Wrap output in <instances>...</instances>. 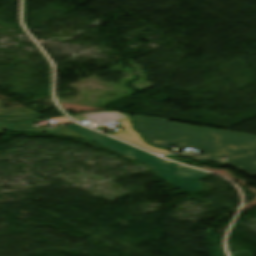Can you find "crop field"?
<instances>
[{
  "label": "crop field",
  "mask_w": 256,
  "mask_h": 256,
  "mask_svg": "<svg viewBox=\"0 0 256 256\" xmlns=\"http://www.w3.org/2000/svg\"><path fill=\"white\" fill-rule=\"evenodd\" d=\"M66 127L89 138L93 142H97L136 161L150 165L158 172L161 179L186 192L200 190L201 187L199 180L208 176V173L159 159L160 157L157 158L137 148L101 135L78 124L66 125Z\"/></svg>",
  "instance_id": "crop-field-2"
},
{
  "label": "crop field",
  "mask_w": 256,
  "mask_h": 256,
  "mask_svg": "<svg viewBox=\"0 0 256 256\" xmlns=\"http://www.w3.org/2000/svg\"><path fill=\"white\" fill-rule=\"evenodd\" d=\"M5 121H0V128L4 127Z\"/></svg>",
  "instance_id": "crop-field-8"
},
{
  "label": "crop field",
  "mask_w": 256,
  "mask_h": 256,
  "mask_svg": "<svg viewBox=\"0 0 256 256\" xmlns=\"http://www.w3.org/2000/svg\"><path fill=\"white\" fill-rule=\"evenodd\" d=\"M81 115L84 117H87L99 124L118 120L123 125L124 130H122L112 136L122 139L124 141H127L129 143H132L136 146H139L141 148H144V149L154 152L156 154H169L170 153L166 150L147 145L142 140L141 136L132 129V124L130 122L131 119L127 115H124L119 112L86 113V114H81Z\"/></svg>",
  "instance_id": "crop-field-3"
},
{
  "label": "crop field",
  "mask_w": 256,
  "mask_h": 256,
  "mask_svg": "<svg viewBox=\"0 0 256 256\" xmlns=\"http://www.w3.org/2000/svg\"><path fill=\"white\" fill-rule=\"evenodd\" d=\"M38 118L43 117L29 108H1L0 106V119L6 121Z\"/></svg>",
  "instance_id": "crop-field-5"
},
{
  "label": "crop field",
  "mask_w": 256,
  "mask_h": 256,
  "mask_svg": "<svg viewBox=\"0 0 256 256\" xmlns=\"http://www.w3.org/2000/svg\"><path fill=\"white\" fill-rule=\"evenodd\" d=\"M37 121L39 120L10 122V123H6L5 127L11 130L30 131V132H39V133L45 132L49 134L72 136V137L88 140L87 138L77 134L76 132L64 126L59 127L55 130H50L48 128H35L33 126V123Z\"/></svg>",
  "instance_id": "crop-field-4"
},
{
  "label": "crop field",
  "mask_w": 256,
  "mask_h": 256,
  "mask_svg": "<svg viewBox=\"0 0 256 256\" xmlns=\"http://www.w3.org/2000/svg\"><path fill=\"white\" fill-rule=\"evenodd\" d=\"M60 124H66V123H72V121L67 118V117H62V118H55V119H52Z\"/></svg>",
  "instance_id": "crop-field-6"
},
{
  "label": "crop field",
  "mask_w": 256,
  "mask_h": 256,
  "mask_svg": "<svg viewBox=\"0 0 256 256\" xmlns=\"http://www.w3.org/2000/svg\"><path fill=\"white\" fill-rule=\"evenodd\" d=\"M134 122L137 130L157 147H192L204 153L199 159L232 165L256 175V136L212 128H194L139 115H135ZM221 156L229 158L226 161L219 160Z\"/></svg>",
  "instance_id": "crop-field-1"
},
{
  "label": "crop field",
  "mask_w": 256,
  "mask_h": 256,
  "mask_svg": "<svg viewBox=\"0 0 256 256\" xmlns=\"http://www.w3.org/2000/svg\"><path fill=\"white\" fill-rule=\"evenodd\" d=\"M164 157H167V158H170V159H173V160H182V159L176 158V157L173 156V155L164 156ZM182 161H185V162H188V163H192V164L198 165L197 163H194V162H192V161H187V160H182Z\"/></svg>",
  "instance_id": "crop-field-7"
}]
</instances>
